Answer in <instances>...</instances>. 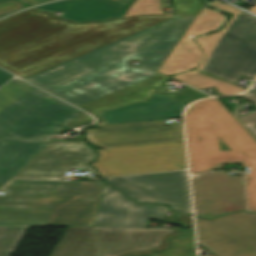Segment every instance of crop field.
<instances>
[{
  "mask_svg": "<svg viewBox=\"0 0 256 256\" xmlns=\"http://www.w3.org/2000/svg\"><path fill=\"white\" fill-rule=\"evenodd\" d=\"M176 17L139 33L25 78L94 114L143 100L129 85L157 70L201 8L174 6Z\"/></svg>",
  "mask_w": 256,
  "mask_h": 256,
  "instance_id": "crop-field-1",
  "label": "crop field"
},
{
  "mask_svg": "<svg viewBox=\"0 0 256 256\" xmlns=\"http://www.w3.org/2000/svg\"><path fill=\"white\" fill-rule=\"evenodd\" d=\"M173 16L146 14L74 24L27 9L0 20V66L25 78Z\"/></svg>",
  "mask_w": 256,
  "mask_h": 256,
  "instance_id": "crop-field-2",
  "label": "crop field"
},
{
  "mask_svg": "<svg viewBox=\"0 0 256 256\" xmlns=\"http://www.w3.org/2000/svg\"><path fill=\"white\" fill-rule=\"evenodd\" d=\"M104 183L11 180L0 191V256L29 226H93ZM19 245V244H18Z\"/></svg>",
  "mask_w": 256,
  "mask_h": 256,
  "instance_id": "crop-field-3",
  "label": "crop field"
},
{
  "mask_svg": "<svg viewBox=\"0 0 256 256\" xmlns=\"http://www.w3.org/2000/svg\"><path fill=\"white\" fill-rule=\"evenodd\" d=\"M81 112L20 80L2 86L0 187Z\"/></svg>",
  "mask_w": 256,
  "mask_h": 256,
  "instance_id": "crop-field-4",
  "label": "crop field"
},
{
  "mask_svg": "<svg viewBox=\"0 0 256 256\" xmlns=\"http://www.w3.org/2000/svg\"><path fill=\"white\" fill-rule=\"evenodd\" d=\"M223 105V104H222ZM216 99L191 105L185 114L191 174L222 164L242 163L247 176L250 211H256V142Z\"/></svg>",
  "mask_w": 256,
  "mask_h": 256,
  "instance_id": "crop-field-5",
  "label": "crop field"
},
{
  "mask_svg": "<svg viewBox=\"0 0 256 256\" xmlns=\"http://www.w3.org/2000/svg\"><path fill=\"white\" fill-rule=\"evenodd\" d=\"M181 233V229L67 227L50 256L153 254L169 246L171 237Z\"/></svg>",
  "mask_w": 256,
  "mask_h": 256,
  "instance_id": "crop-field-6",
  "label": "crop field"
},
{
  "mask_svg": "<svg viewBox=\"0 0 256 256\" xmlns=\"http://www.w3.org/2000/svg\"><path fill=\"white\" fill-rule=\"evenodd\" d=\"M201 70L234 84L242 74L254 79L256 18L244 12L238 14Z\"/></svg>",
  "mask_w": 256,
  "mask_h": 256,
  "instance_id": "crop-field-7",
  "label": "crop field"
},
{
  "mask_svg": "<svg viewBox=\"0 0 256 256\" xmlns=\"http://www.w3.org/2000/svg\"><path fill=\"white\" fill-rule=\"evenodd\" d=\"M97 152L100 156L91 165L101 177L187 168L184 142Z\"/></svg>",
  "mask_w": 256,
  "mask_h": 256,
  "instance_id": "crop-field-8",
  "label": "crop field"
},
{
  "mask_svg": "<svg viewBox=\"0 0 256 256\" xmlns=\"http://www.w3.org/2000/svg\"><path fill=\"white\" fill-rule=\"evenodd\" d=\"M198 244L219 256H256V213L196 218Z\"/></svg>",
  "mask_w": 256,
  "mask_h": 256,
  "instance_id": "crop-field-9",
  "label": "crop field"
},
{
  "mask_svg": "<svg viewBox=\"0 0 256 256\" xmlns=\"http://www.w3.org/2000/svg\"><path fill=\"white\" fill-rule=\"evenodd\" d=\"M105 182L137 202L168 204L175 212L191 214L187 171L110 178Z\"/></svg>",
  "mask_w": 256,
  "mask_h": 256,
  "instance_id": "crop-field-10",
  "label": "crop field"
},
{
  "mask_svg": "<svg viewBox=\"0 0 256 256\" xmlns=\"http://www.w3.org/2000/svg\"><path fill=\"white\" fill-rule=\"evenodd\" d=\"M192 179L195 215L213 218L243 210L246 204L243 176H229L226 172L200 175Z\"/></svg>",
  "mask_w": 256,
  "mask_h": 256,
  "instance_id": "crop-field-11",
  "label": "crop field"
},
{
  "mask_svg": "<svg viewBox=\"0 0 256 256\" xmlns=\"http://www.w3.org/2000/svg\"><path fill=\"white\" fill-rule=\"evenodd\" d=\"M97 154L85 142H60L48 144L12 178L61 179L66 171L80 168L81 171H95L88 163ZM84 168H89L85 170Z\"/></svg>",
  "mask_w": 256,
  "mask_h": 256,
  "instance_id": "crop-field-12",
  "label": "crop field"
},
{
  "mask_svg": "<svg viewBox=\"0 0 256 256\" xmlns=\"http://www.w3.org/2000/svg\"><path fill=\"white\" fill-rule=\"evenodd\" d=\"M89 142L102 149L184 141L182 125L132 123L87 130Z\"/></svg>",
  "mask_w": 256,
  "mask_h": 256,
  "instance_id": "crop-field-13",
  "label": "crop field"
},
{
  "mask_svg": "<svg viewBox=\"0 0 256 256\" xmlns=\"http://www.w3.org/2000/svg\"><path fill=\"white\" fill-rule=\"evenodd\" d=\"M165 206L135 204L116 190L104 185L94 226L145 228L147 219L176 223L174 214L162 216Z\"/></svg>",
  "mask_w": 256,
  "mask_h": 256,
  "instance_id": "crop-field-14",
  "label": "crop field"
},
{
  "mask_svg": "<svg viewBox=\"0 0 256 256\" xmlns=\"http://www.w3.org/2000/svg\"><path fill=\"white\" fill-rule=\"evenodd\" d=\"M223 20L224 18L221 13L206 7L202 8L158 71L169 75L193 68L202 59V55L191 40L192 37L202 32L217 29V26Z\"/></svg>",
  "mask_w": 256,
  "mask_h": 256,
  "instance_id": "crop-field-15",
  "label": "crop field"
},
{
  "mask_svg": "<svg viewBox=\"0 0 256 256\" xmlns=\"http://www.w3.org/2000/svg\"><path fill=\"white\" fill-rule=\"evenodd\" d=\"M128 5L112 0H64L35 7L51 12L62 10L63 18L74 21L104 20L109 17H119Z\"/></svg>",
  "mask_w": 256,
  "mask_h": 256,
  "instance_id": "crop-field-16",
  "label": "crop field"
},
{
  "mask_svg": "<svg viewBox=\"0 0 256 256\" xmlns=\"http://www.w3.org/2000/svg\"><path fill=\"white\" fill-rule=\"evenodd\" d=\"M209 5H214L216 6V9L218 10H221V11H228L230 13L233 14L232 18L230 21H228L223 30L221 32H215V33H211L209 35H206V36H199L197 38H195L196 42L200 44L203 52L205 53L206 55V58L204 60V62L206 61V59L208 58L211 50L213 49V47L216 45V43L219 41V39L221 38V36L224 34V32L226 31V29L229 27V25L231 24V22L233 21V19L236 17V15L242 11L230 6V5H227L219 0H217L216 2H211L209 3ZM204 62L199 65L196 70L200 71V68L202 67V65L204 64Z\"/></svg>",
  "mask_w": 256,
  "mask_h": 256,
  "instance_id": "crop-field-17",
  "label": "crop field"
},
{
  "mask_svg": "<svg viewBox=\"0 0 256 256\" xmlns=\"http://www.w3.org/2000/svg\"><path fill=\"white\" fill-rule=\"evenodd\" d=\"M185 234L173 239L170 249L153 256H196L193 230H184Z\"/></svg>",
  "mask_w": 256,
  "mask_h": 256,
  "instance_id": "crop-field-18",
  "label": "crop field"
},
{
  "mask_svg": "<svg viewBox=\"0 0 256 256\" xmlns=\"http://www.w3.org/2000/svg\"><path fill=\"white\" fill-rule=\"evenodd\" d=\"M185 84H187L191 87H194L198 90L214 87V88H216L217 92L221 95L238 93V92L245 90V89L236 87L234 85L222 82L216 78H211L207 75L199 77V78L192 80L190 82H187Z\"/></svg>",
  "mask_w": 256,
  "mask_h": 256,
  "instance_id": "crop-field-19",
  "label": "crop field"
},
{
  "mask_svg": "<svg viewBox=\"0 0 256 256\" xmlns=\"http://www.w3.org/2000/svg\"><path fill=\"white\" fill-rule=\"evenodd\" d=\"M145 13H161L159 0H135L125 16Z\"/></svg>",
  "mask_w": 256,
  "mask_h": 256,
  "instance_id": "crop-field-20",
  "label": "crop field"
},
{
  "mask_svg": "<svg viewBox=\"0 0 256 256\" xmlns=\"http://www.w3.org/2000/svg\"><path fill=\"white\" fill-rule=\"evenodd\" d=\"M242 97L252 101L256 104V94L249 91V93L243 95ZM243 124L249 130V132L255 137L256 139V111L240 117Z\"/></svg>",
  "mask_w": 256,
  "mask_h": 256,
  "instance_id": "crop-field-21",
  "label": "crop field"
},
{
  "mask_svg": "<svg viewBox=\"0 0 256 256\" xmlns=\"http://www.w3.org/2000/svg\"><path fill=\"white\" fill-rule=\"evenodd\" d=\"M167 77L160 74V73H153L139 81H137L136 83L143 85L147 88H150L152 90L156 89Z\"/></svg>",
  "mask_w": 256,
  "mask_h": 256,
  "instance_id": "crop-field-22",
  "label": "crop field"
},
{
  "mask_svg": "<svg viewBox=\"0 0 256 256\" xmlns=\"http://www.w3.org/2000/svg\"><path fill=\"white\" fill-rule=\"evenodd\" d=\"M20 8H24V6L16 0L0 3V16L6 15Z\"/></svg>",
  "mask_w": 256,
  "mask_h": 256,
  "instance_id": "crop-field-23",
  "label": "crop field"
},
{
  "mask_svg": "<svg viewBox=\"0 0 256 256\" xmlns=\"http://www.w3.org/2000/svg\"><path fill=\"white\" fill-rule=\"evenodd\" d=\"M202 75H204V74L194 70V71H190V72H185V73H183L181 75H178V76H175V77H172V78H175V79L185 83L187 81H190V80H192L194 78H197L199 76H202Z\"/></svg>",
  "mask_w": 256,
  "mask_h": 256,
  "instance_id": "crop-field-24",
  "label": "crop field"
},
{
  "mask_svg": "<svg viewBox=\"0 0 256 256\" xmlns=\"http://www.w3.org/2000/svg\"><path fill=\"white\" fill-rule=\"evenodd\" d=\"M137 92L138 94L145 100V99H148L149 98V95L151 93L152 90L150 89H147L143 86H140L138 84H132L131 85ZM153 92V91H152Z\"/></svg>",
  "mask_w": 256,
  "mask_h": 256,
  "instance_id": "crop-field-25",
  "label": "crop field"
},
{
  "mask_svg": "<svg viewBox=\"0 0 256 256\" xmlns=\"http://www.w3.org/2000/svg\"><path fill=\"white\" fill-rule=\"evenodd\" d=\"M174 5L204 7L202 3L197 0H174Z\"/></svg>",
  "mask_w": 256,
  "mask_h": 256,
  "instance_id": "crop-field-26",
  "label": "crop field"
},
{
  "mask_svg": "<svg viewBox=\"0 0 256 256\" xmlns=\"http://www.w3.org/2000/svg\"><path fill=\"white\" fill-rule=\"evenodd\" d=\"M177 219L184 227H193L192 219L186 215H177Z\"/></svg>",
  "mask_w": 256,
  "mask_h": 256,
  "instance_id": "crop-field-27",
  "label": "crop field"
},
{
  "mask_svg": "<svg viewBox=\"0 0 256 256\" xmlns=\"http://www.w3.org/2000/svg\"><path fill=\"white\" fill-rule=\"evenodd\" d=\"M12 77H13V75L0 69V86Z\"/></svg>",
  "mask_w": 256,
  "mask_h": 256,
  "instance_id": "crop-field-28",
  "label": "crop field"
},
{
  "mask_svg": "<svg viewBox=\"0 0 256 256\" xmlns=\"http://www.w3.org/2000/svg\"><path fill=\"white\" fill-rule=\"evenodd\" d=\"M21 2L25 3L28 6L39 4V3H45L53 0H20Z\"/></svg>",
  "mask_w": 256,
  "mask_h": 256,
  "instance_id": "crop-field-29",
  "label": "crop field"
},
{
  "mask_svg": "<svg viewBox=\"0 0 256 256\" xmlns=\"http://www.w3.org/2000/svg\"><path fill=\"white\" fill-rule=\"evenodd\" d=\"M249 11H251V12H253V13L256 14V5L253 6V7H251V8L249 9Z\"/></svg>",
  "mask_w": 256,
  "mask_h": 256,
  "instance_id": "crop-field-30",
  "label": "crop field"
},
{
  "mask_svg": "<svg viewBox=\"0 0 256 256\" xmlns=\"http://www.w3.org/2000/svg\"><path fill=\"white\" fill-rule=\"evenodd\" d=\"M115 1L122 2V3L127 4V3H129L131 0H115Z\"/></svg>",
  "mask_w": 256,
  "mask_h": 256,
  "instance_id": "crop-field-31",
  "label": "crop field"
},
{
  "mask_svg": "<svg viewBox=\"0 0 256 256\" xmlns=\"http://www.w3.org/2000/svg\"><path fill=\"white\" fill-rule=\"evenodd\" d=\"M254 92H256V82L254 83L253 87L251 88Z\"/></svg>",
  "mask_w": 256,
  "mask_h": 256,
  "instance_id": "crop-field-32",
  "label": "crop field"
},
{
  "mask_svg": "<svg viewBox=\"0 0 256 256\" xmlns=\"http://www.w3.org/2000/svg\"><path fill=\"white\" fill-rule=\"evenodd\" d=\"M206 256H217V255H215V254H210V255H206Z\"/></svg>",
  "mask_w": 256,
  "mask_h": 256,
  "instance_id": "crop-field-33",
  "label": "crop field"
},
{
  "mask_svg": "<svg viewBox=\"0 0 256 256\" xmlns=\"http://www.w3.org/2000/svg\"><path fill=\"white\" fill-rule=\"evenodd\" d=\"M4 1H8V0H0V2H4Z\"/></svg>",
  "mask_w": 256,
  "mask_h": 256,
  "instance_id": "crop-field-34",
  "label": "crop field"
}]
</instances>
